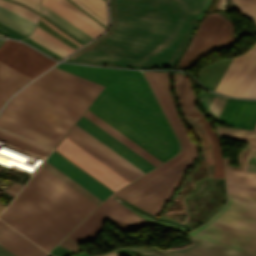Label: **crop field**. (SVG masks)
<instances>
[{
    "instance_id": "214f88e0",
    "label": "crop field",
    "mask_w": 256,
    "mask_h": 256,
    "mask_svg": "<svg viewBox=\"0 0 256 256\" xmlns=\"http://www.w3.org/2000/svg\"><path fill=\"white\" fill-rule=\"evenodd\" d=\"M174 89L184 114L200 112L196 105L189 80L181 74H173Z\"/></svg>"
},
{
    "instance_id": "a9b5d70f",
    "label": "crop field",
    "mask_w": 256,
    "mask_h": 256,
    "mask_svg": "<svg viewBox=\"0 0 256 256\" xmlns=\"http://www.w3.org/2000/svg\"><path fill=\"white\" fill-rule=\"evenodd\" d=\"M0 22L28 36L36 24L0 7Z\"/></svg>"
},
{
    "instance_id": "730fd06b",
    "label": "crop field",
    "mask_w": 256,
    "mask_h": 256,
    "mask_svg": "<svg viewBox=\"0 0 256 256\" xmlns=\"http://www.w3.org/2000/svg\"><path fill=\"white\" fill-rule=\"evenodd\" d=\"M227 99L228 98H224L215 94L202 92L200 96V103L208 114L213 116L215 119H218Z\"/></svg>"
},
{
    "instance_id": "03da06ac",
    "label": "crop field",
    "mask_w": 256,
    "mask_h": 256,
    "mask_svg": "<svg viewBox=\"0 0 256 256\" xmlns=\"http://www.w3.org/2000/svg\"><path fill=\"white\" fill-rule=\"evenodd\" d=\"M14 1H17V2H21L37 11H39V3L33 1V0H14Z\"/></svg>"
},
{
    "instance_id": "425ffa30",
    "label": "crop field",
    "mask_w": 256,
    "mask_h": 256,
    "mask_svg": "<svg viewBox=\"0 0 256 256\" xmlns=\"http://www.w3.org/2000/svg\"><path fill=\"white\" fill-rule=\"evenodd\" d=\"M101 256H121V255L116 254L114 252H111V253H107V254H104V255H101Z\"/></svg>"
},
{
    "instance_id": "5a996713",
    "label": "crop field",
    "mask_w": 256,
    "mask_h": 256,
    "mask_svg": "<svg viewBox=\"0 0 256 256\" xmlns=\"http://www.w3.org/2000/svg\"><path fill=\"white\" fill-rule=\"evenodd\" d=\"M12 100L75 123L87 106L59 96L32 84L17 93Z\"/></svg>"
},
{
    "instance_id": "89e229c0",
    "label": "crop field",
    "mask_w": 256,
    "mask_h": 256,
    "mask_svg": "<svg viewBox=\"0 0 256 256\" xmlns=\"http://www.w3.org/2000/svg\"><path fill=\"white\" fill-rule=\"evenodd\" d=\"M253 47H256V44Z\"/></svg>"
},
{
    "instance_id": "8a807250",
    "label": "crop field",
    "mask_w": 256,
    "mask_h": 256,
    "mask_svg": "<svg viewBox=\"0 0 256 256\" xmlns=\"http://www.w3.org/2000/svg\"><path fill=\"white\" fill-rule=\"evenodd\" d=\"M112 25L68 61L173 67L198 20L157 0H109Z\"/></svg>"
},
{
    "instance_id": "dd49c442",
    "label": "crop field",
    "mask_w": 256,
    "mask_h": 256,
    "mask_svg": "<svg viewBox=\"0 0 256 256\" xmlns=\"http://www.w3.org/2000/svg\"><path fill=\"white\" fill-rule=\"evenodd\" d=\"M73 123L10 100L0 115V128L55 148Z\"/></svg>"
},
{
    "instance_id": "412701ff",
    "label": "crop field",
    "mask_w": 256,
    "mask_h": 256,
    "mask_svg": "<svg viewBox=\"0 0 256 256\" xmlns=\"http://www.w3.org/2000/svg\"><path fill=\"white\" fill-rule=\"evenodd\" d=\"M101 202L45 161L0 219L49 251Z\"/></svg>"
},
{
    "instance_id": "c21b1889",
    "label": "crop field",
    "mask_w": 256,
    "mask_h": 256,
    "mask_svg": "<svg viewBox=\"0 0 256 256\" xmlns=\"http://www.w3.org/2000/svg\"><path fill=\"white\" fill-rule=\"evenodd\" d=\"M22 40L25 41V42H27V43H29V44H31V45H33V46H35V47H37L38 49H40V50H42V51H44V52H46V53H48V54H50V55H52V56L58 58V59H61V58H62V57H60V56H58V55H56V54H54V53L48 51L47 49L43 48L42 46L38 45L37 43L33 42L32 40H30V39H28V38H25V39H22Z\"/></svg>"
},
{
    "instance_id": "bc2a9ffb",
    "label": "crop field",
    "mask_w": 256,
    "mask_h": 256,
    "mask_svg": "<svg viewBox=\"0 0 256 256\" xmlns=\"http://www.w3.org/2000/svg\"><path fill=\"white\" fill-rule=\"evenodd\" d=\"M30 80L32 79L0 63V107L8 97Z\"/></svg>"
},
{
    "instance_id": "3316defc",
    "label": "crop field",
    "mask_w": 256,
    "mask_h": 256,
    "mask_svg": "<svg viewBox=\"0 0 256 256\" xmlns=\"http://www.w3.org/2000/svg\"><path fill=\"white\" fill-rule=\"evenodd\" d=\"M0 62L32 79L56 63L23 43L12 40H7L0 47Z\"/></svg>"
},
{
    "instance_id": "ac0d7876",
    "label": "crop field",
    "mask_w": 256,
    "mask_h": 256,
    "mask_svg": "<svg viewBox=\"0 0 256 256\" xmlns=\"http://www.w3.org/2000/svg\"><path fill=\"white\" fill-rule=\"evenodd\" d=\"M143 73L171 124L182 150L174 158L109 196L67 236L78 244L95 239L103 230L106 219L124 232L149 224L150 222L134 214L112 197L117 195L156 216L198 156V149L180 118L172 95L170 73L144 71Z\"/></svg>"
},
{
    "instance_id": "00972430",
    "label": "crop field",
    "mask_w": 256,
    "mask_h": 256,
    "mask_svg": "<svg viewBox=\"0 0 256 256\" xmlns=\"http://www.w3.org/2000/svg\"><path fill=\"white\" fill-rule=\"evenodd\" d=\"M86 118H88L90 121H92L93 123H95L96 125H98L100 128H102L103 130H105L106 132H108L110 135H112L113 137H115L116 139H118L120 142H122L123 144H125L126 146H128L130 149H132L133 151H135L136 153H138L140 156H142L143 158H145L146 160H148L150 163H152L153 165H158L162 162H160L158 159H156L155 157H153L152 155H150L148 152H146L145 150H143L141 147H139L138 145H136L135 143H133L131 140H129L128 138H126L124 135H122L121 133H119L117 130H115L114 128H112L111 126H109L107 123H105L104 121H102L100 118H98L97 116H95L94 114H92L90 111H86V113L83 115Z\"/></svg>"
},
{
    "instance_id": "1d83c4d3",
    "label": "crop field",
    "mask_w": 256,
    "mask_h": 256,
    "mask_svg": "<svg viewBox=\"0 0 256 256\" xmlns=\"http://www.w3.org/2000/svg\"><path fill=\"white\" fill-rule=\"evenodd\" d=\"M227 192L256 198V187L226 181Z\"/></svg>"
},
{
    "instance_id": "cbeb9de0",
    "label": "crop field",
    "mask_w": 256,
    "mask_h": 256,
    "mask_svg": "<svg viewBox=\"0 0 256 256\" xmlns=\"http://www.w3.org/2000/svg\"><path fill=\"white\" fill-rule=\"evenodd\" d=\"M46 161H48L50 164L55 166L61 172L66 174L68 177L73 179L75 182L80 184L82 187L87 189L102 201L112 193V191H110L108 188L100 184L98 181L93 179L91 176L83 172L81 169L76 167L74 164L69 162L55 151L52 152Z\"/></svg>"
},
{
    "instance_id": "dafd665d",
    "label": "crop field",
    "mask_w": 256,
    "mask_h": 256,
    "mask_svg": "<svg viewBox=\"0 0 256 256\" xmlns=\"http://www.w3.org/2000/svg\"><path fill=\"white\" fill-rule=\"evenodd\" d=\"M42 5L89 35L90 37H95L97 34L101 33L94 27L86 23L84 20L67 10L63 7L57 0H42Z\"/></svg>"
},
{
    "instance_id": "22f410ed",
    "label": "crop field",
    "mask_w": 256,
    "mask_h": 256,
    "mask_svg": "<svg viewBox=\"0 0 256 256\" xmlns=\"http://www.w3.org/2000/svg\"><path fill=\"white\" fill-rule=\"evenodd\" d=\"M87 133L95 137L97 140L102 142L104 145L109 147L111 150L116 152L118 155L123 157L125 160L133 164L135 167L140 169L142 172H147L152 169L153 166L148 161L140 157L138 154L130 150L128 147L120 143L118 140L110 136L108 133L100 129L98 126L90 122L85 117H81V119L76 124Z\"/></svg>"
},
{
    "instance_id": "d32e631a",
    "label": "crop field",
    "mask_w": 256,
    "mask_h": 256,
    "mask_svg": "<svg viewBox=\"0 0 256 256\" xmlns=\"http://www.w3.org/2000/svg\"><path fill=\"white\" fill-rule=\"evenodd\" d=\"M30 39H32L33 41L37 42L38 44L42 45L43 47L47 48L48 50L64 57L66 54H68L67 52H65L64 50H62L61 48L57 47L56 45H54L53 43L49 42L48 40L42 38L41 36L33 33L30 37H28Z\"/></svg>"
},
{
    "instance_id": "bd1437ed",
    "label": "crop field",
    "mask_w": 256,
    "mask_h": 256,
    "mask_svg": "<svg viewBox=\"0 0 256 256\" xmlns=\"http://www.w3.org/2000/svg\"><path fill=\"white\" fill-rule=\"evenodd\" d=\"M0 6L9 11H12V12H14V13L34 22V23L36 22V20L39 16L21 6L15 5L13 3H10V2L4 1V0H0Z\"/></svg>"
},
{
    "instance_id": "d23c7cc5",
    "label": "crop field",
    "mask_w": 256,
    "mask_h": 256,
    "mask_svg": "<svg viewBox=\"0 0 256 256\" xmlns=\"http://www.w3.org/2000/svg\"><path fill=\"white\" fill-rule=\"evenodd\" d=\"M0 256H15V255L0 245Z\"/></svg>"
},
{
    "instance_id": "733c2abd",
    "label": "crop field",
    "mask_w": 256,
    "mask_h": 256,
    "mask_svg": "<svg viewBox=\"0 0 256 256\" xmlns=\"http://www.w3.org/2000/svg\"><path fill=\"white\" fill-rule=\"evenodd\" d=\"M0 244L17 256H44L46 252L0 221Z\"/></svg>"
},
{
    "instance_id": "b80d0937",
    "label": "crop field",
    "mask_w": 256,
    "mask_h": 256,
    "mask_svg": "<svg viewBox=\"0 0 256 256\" xmlns=\"http://www.w3.org/2000/svg\"><path fill=\"white\" fill-rule=\"evenodd\" d=\"M0 33L6 35V36H9L11 38H18V39H22L26 36L4 26L3 24L0 23Z\"/></svg>"
},
{
    "instance_id": "d8731c3e",
    "label": "crop field",
    "mask_w": 256,
    "mask_h": 256,
    "mask_svg": "<svg viewBox=\"0 0 256 256\" xmlns=\"http://www.w3.org/2000/svg\"><path fill=\"white\" fill-rule=\"evenodd\" d=\"M32 84L60 94L87 106L103 86L58 69L56 67L39 77Z\"/></svg>"
},
{
    "instance_id": "120bbe31",
    "label": "crop field",
    "mask_w": 256,
    "mask_h": 256,
    "mask_svg": "<svg viewBox=\"0 0 256 256\" xmlns=\"http://www.w3.org/2000/svg\"><path fill=\"white\" fill-rule=\"evenodd\" d=\"M244 14L256 24V0H234Z\"/></svg>"
},
{
    "instance_id": "73cf0c24",
    "label": "crop field",
    "mask_w": 256,
    "mask_h": 256,
    "mask_svg": "<svg viewBox=\"0 0 256 256\" xmlns=\"http://www.w3.org/2000/svg\"><path fill=\"white\" fill-rule=\"evenodd\" d=\"M253 130H256V125H255V127H254V129Z\"/></svg>"
},
{
    "instance_id": "0bd39190",
    "label": "crop field",
    "mask_w": 256,
    "mask_h": 256,
    "mask_svg": "<svg viewBox=\"0 0 256 256\" xmlns=\"http://www.w3.org/2000/svg\"><path fill=\"white\" fill-rule=\"evenodd\" d=\"M218 133H219V135L222 136V137H228V138H234V139H239V140L248 141V144H247L246 147H249V146H250L251 141H252V139H253V138H251V137L240 136V135H235V134H230V133H224V132H219V131H218ZM253 140L256 141V138H254ZM255 141L252 142V144H251L250 147L256 148V142H255Z\"/></svg>"
},
{
    "instance_id": "dbb93151",
    "label": "crop field",
    "mask_w": 256,
    "mask_h": 256,
    "mask_svg": "<svg viewBox=\"0 0 256 256\" xmlns=\"http://www.w3.org/2000/svg\"><path fill=\"white\" fill-rule=\"evenodd\" d=\"M2 212V210H0V213Z\"/></svg>"
},
{
    "instance_id": "0fb4a251",
    "label": "crop field",
    "mask_w": 256,
    "mask_h": 256,
    "mask_svg": "<svg viewBox=\"0 0 256 256\" xmlns=\"http://www.w3.org/2000/svg\"><path fill=\"white\" fill-rule=\"evenodd\" d=\"M1 37V36H0Z\"/></svg>"
},
{
    "instance_id": "b54c1fbb",
    "label": "crop field",
    "mask_w": 256,
    "mask_h": 256,
    "mask_svg": "<svg viewBox=\"0 0 256 256\" xmlns=\"http://www.w3.org/2000/svg\"><path fill=\"white\" fill-rule=\"evenodd\" d=\"M245 97H252L256 98V78L253 81L252 85L250 86L248 92L246 93Z\"/></svg>"
},
{
    "instance_id": "4177f3b9",
    "label": "crop field",
    "mask_w": 256,
    "mask_h": 256,
    "mask_svg": "<svg viewBox=\"0 0 256 256\" xmlns=\"http://www.w3.org/2000/svg\"><path fill=\"white\" fill-rule=\"evenodd\" d=\"M200 19L210 0H160Z\"/></svg>"
},
{
    "instance_id": "d9b57169",
    "label": "crop field",
    "mask_w": 256,
    "mask_h": 256,
    "mask_svg": "<svg viewBox=\"0 0 256 256\" xmlns=\"http://www.w3.org/2000/svg\"><path fill=\"white\" fill-rule=\"evenodd\" d=\"M130 248L136 249L151 256H250L244 253H240L234 250L210 244L201 240L191 245L190 248L184 253L174 250H168L167 252H165L155 248Z\"/></svg>"
},
{
    "instance_id": "ae1a2a85",
    "label": "crop field",
    "mask_w": 256,
    "mask_h": 256,
    "mask_svg": "<svg viewBox=\"0 0 256 256\" xmlns=\"http://www.w3.org/2000/svg\"><path fill=\"white\" fill-rule=\"evenodd\" d=\"M41 10H42V14H44L46 17L54 21L63 29H65L66 31L74 35L76 38H78L82 42L85 43L90 39H92L86 34H84L83 32H81L80 30H78L77 28H75L74 26H72L71 24H69L68 22H66L65 20H63L62 18H60L59 16H57L56 14H54L53 12H51L50 10H48L47 8H45L44 6H41Z\"/></svg>"
},
{
    "instance_id": "e52e79f7",
    "label": "crop field",
    "mask_w": 256,
    "mask_h": 256,
    "mask_svg": "<svg viewBox=\"0 0 256 256\" xmlns=\"http://www.w3.org/2000/svg\"><path fill=\"white\" fill-rule=\"evenodd\" d=\"M234 39V24L227 15H205L176 68H189L209 52L228 47Z\"/></svg>"
},
{
    "instance_id": "4a817a6b",
    "label": "crop field",
    "mask_w": 256,
    "mask_h": 256,
    "mask_svg": "<svg viewBox=\"0 0 256 256\" xmlns=\"http://www.w3.org/2000/svg\"><path fill=\"white\" fill-rule=\"evenodd\" d=\"M256 76V49H250L226 94L244 97Z\"/></svg>"
},
{
    "instance_id": "f4fd0767",
    "label": "crop field",
    "mask_w": 256,
    "mask_h": 256,
    "mask_svg": "<svg viewBox=\"0 0 256 256\" xmlns=\"http://www.w3.org/2000/svg\"><path fill=\"white\" fill-rule=\"evenodd\" d=\"M227 196L218 213L187 234L256 255V199Z\"/></svg>"
},
{
    "instance_id": "1f2cbd36",
    "label": "crop field",
    "mask_w": 256,
    "mask_h": 256,
    "mask_svg": "<svg viewBox=\"0 0 256 256\" xmlns=\"http://www.w3.org/2000/svg\"><path fill=\"white\" fill-rule=\"evenodd\" d=\"M35 1L39 2V0H35Z\"/></svg>"
},
{
    "instance_id": "750c4746",
    "label": "crop field",
    "mask_w": 256,
    "mask_h": 256,
    "mask_svg": "<svg viewBox=\"0 0 256 256\" xmlns=\"http://www.w3.org/2000/svg\"><path fill=\"white\" fill-rule=\"evenodd\" d=\"M226 180L256 186V174L225 168Z\"/></svg>"
},
{
    "instance_id": "28ad6ade",
    "label": "crop field",
    "mask_w": 256,
    "mask_h": 256,
    "mask_svg": "<svg viewBox=\"0 0 256 256\" xmlns=\"http://www.w3.org/2000/svg\"><path fill=\"white\" fill-rule=\"evenodd\" d=\"M66 137L129 182L144 174L76 125Z\"/></svg>"
},
{
    "instance_id": "25e5ab78",
    "label": "crop field",
    "mask_w": 256,
    "mask_h": 256,
    "mask_svg": "<svg viewBox=\"0 0 256 256\" xmlns=\"http://www.w3.org/2000/svg\"><path fill=\"white\" fill-rule=\"evenodd\" d=\"M5 40H0V45L4 42Z\"/></svg>"
},
{
    "instance_id": "eef30255",
    "label": "crop field",
    "mask_w": 256,
    "mask_h": 256,
    "mask_svg": "<svg viewBox=\"0 0 256 256\" xmlns=\"http://www.w3.org/2000/svg\"><path fill=\"white\" fill-rule=\"evenodd\" d=\"M247 53L248 51L239 57L233 58L228 69L226 70L218 86L216 87V92L225 94L227 88L229 87L232 79L234 78Z\"/></svg>"
},
{
    "instance_id": "d3111659",
    "label": "crop field",
    "mask_w": 256,
    "mask_h": 256,
    "mask_svg": "<svg viewBox=\"0 0 256 256\" xmlns=\"http://www.w3.org/2000/svg\"><path fill=\"white\" fill-rule=\"evenodd\" d=\"M73 1L77 3L79 6H81L83 9H85L87 12H89L91 15H93L95 18H97L99 21H101L103 24L106 25L107 18H106L105 4L103 0H73ZM79 2H81L87 8H89L91 11H93L103 20L97 17L95 14H93L90 10L82 6Z\"/></svg>"
},
{
    "instance_id": "92a150f3",
    "label": "crop field",
    "mask_w": 256,
    "mask_h": 256,
    "mask_svg": "<svg viewBox=\"0 0 256 256\" xmlns=\"http://www.w3.org/2000/svg\"><path fill=\"white\" fill-rule=\"evenodd\" d=\"M0 139L6 141L4 145L15 148L17 150L23 151L25 153L31 154L33 156L39 157L41 159L48 156L51 149L31 142L29 140L23 139L6 131L0 129Z\"/></svg>"
},
{
    "instance_id": "5142ce71",
    "label": "crop field",
    "mask_w": 256,
    "mask_h": 256,
    "mask_svg": "<svg viewBox=\"0 0 256 256\" xmlns=\"http://www.w3.org/2000/svg\"><path fill=\"white\" fill-rule=\"evenodd\" d=\"M219 120L231 126L252 130L256 123V101L229 98Z\"/></svg>"
},
{
    "instance_id": "5866460e",
    "label": "crop field",
    "mask_w": 256,
    "mask_h": 256,
    "mask_svg": "<svg viewBox=\"0 0 256 256\" xmlns=\"http://www.w3.org/2000/svg\"><path fill=\"white\" fill-rule=\"evenodd\" d=\"M62 5H64L66 8L74 12L76 15L87 21L89 24L97 28L99 31H103V27H101L99 24H97L95 21H93L91 18H89L87 15H85L83 12H81L79 9H77L75 6H73L71 3H69L67 0H58Z\"/></svg>"
},
{
    "instance_id": "c035e120",
    "label": "crop field",
    "mask_w": 256,
    "mask_h": 256,
    "mask_svg": "<svg viewBox=\"0 0 256 256\" xmlns=\"http://www.w3.org/2000/svg\"><path fill=\"white\" fill-rule=\"evenodd\" d=\"M60 245L66 247V248H68V249H70V250H72V251H74V252H77V251L83 249L81 246H79V245H77V244H75V243H73V242H71V241H69V240H67V239H64V240L60 243Z\"/></svg>"
},
{
    "instance_id": "d1516ede",
    "label": "crop field",
    "mask_w": 256,
    "mask_h": 256,
    "mask_svg": "<svg viewBox=\"0 0 256 256\" xmlns=\"http://www.w3.org/2000/svg\"><path fill=\"white\" fill-rule=\"evenodd\" d=\"M56 150L113 191L129 183L66 137Z\"/></svg>"
},
{
    "instance_id": "028f5c9d",
    "label": "crop field",
    "mask_w": 256,
    "mask_h": 256,
    "mask_svg": "<svg viewBox=\"0 0 256 256\" xmlns=\"http://www.w3.org/2000/svg\"><path fill=\"white\" fill-rule=\"evenodd\" d=\"M35 32H37L38 34L42 35L43 37H45L46 39H48L49 41L53 42L54 44H56L57 46L61 47L62 49H64L65 51H67L69 53L74 50L71 47H69L68 45H66L63 42H61L60 40H58L57 38H55L54 36H52L49 33L45 32L44 30H42L39 27H36Z\"/></svg>"
},
{
    "instance_id": "e1f06a70",
    "label": "crop field",
    "mask_w": 256,
    "mask_h": 256,
    "mask_svg": "<svg viewBox=\"0 0 256 256\" xmlns=\"http://www.w3.org/2000/svg\"><path fill=\"white\" fill-rule=\"evenodd\" d=\"M242 170L256 173V150H249Z\"/></svg>"
},
{
    "instance_id": "5d738f31",
    "label": "crop field",
    "mask_w": 256,
    "mask_h": 256,
    "mask_svg": "<svg viewBox=\"0 0 256 256\" xmlns=\"http://www.w3.org/2000/svg\"><path fill=\"white\" fill-rule=\"evenodd\" d=\"M40 20H42L44 23H46L48 26H50L52 29H54L56 32H58L59 34L63 35L64 37H66L67 39L71 40L72 42H74L77 45H81L78 42L74 41L73 39H71L70 37L66 36L65 34H63L62 32H60L58 29H56L54 26H52L51 24H49L47 21H45L43 18H40Z\"/></svg>"
},
{
    "instance_id": "34b2d1b8",
    "label": "crop field",
    "mask_w": 256,
    "mask_h": 256,
    "mask_svg": "<svg viewBox=\"0 0 256 256\" xmlns=\"http://www.w3.org/2000/svg\"><path fill=\"white\" fill-rule=\"evenodd\" d=\"M56 67L109 87L172 132L140 71L63 63ZM107 87L88 110L162 162L178 152L179 146L173 132Z\"/></svg>"
}]
</instances>
